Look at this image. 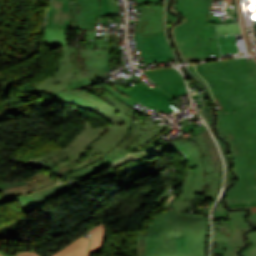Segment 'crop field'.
<instances>
[{"label":"crop field","instance_id":"crop-field-1","mask_svg":"<svg viewBox=\"0 0 256 256\" xmlns=\"http://www.w3.org/2000/svg\"><path fill=\"white\" fill-rule=\"evenodd\" d=\"M202 70L221 108L217 130L230 142L239 175L227 191V203H256V65L242 58L205 63Z\"/></svg>","mask_w":256,"mask_h":256},{"label":"crop field","instance_id":"crop-field-2","mask_svg":"<svg viewBox=\"0 0 256 256\" xmlns=\"http://www.w3.org/2000/svg\"><path fill=\"white\" fill-rule=\"evenodd\" d=\"M49 93L81 109H90L115 124L104 128H91L89 122L84 120L86 129L67 148L32 160L54 173L57 168H62L56 174H60L59 177L103 157L119 144L132 125L135 111L113 96L108 99L113 102L114 108L81 90Z\"/></svg>","mask_w":256,"mask_h":256},{"label":"crop field","instance_id":"crop-field-3","mask_svg":"<svg viewBox=\"0 0 256 256\" xmlns=\"http://www.w3.org/2000/svg\"><path fill=\"white\" fill-rule=\"evenodd\" d=\"M207 235V217L166 211L150 225L146 256H205Z\"/></svg>","mask_w":256,"mask_h":256},{"label":"crop field","instance_id":"crop-field-4","mask_svg":"<svg viewBox=\"0 0 256 256\" xmlns=\"http://www.w3.org/2000/svg\"><path fill=\"white\" fill-rule=\"evenodd\" d=\"M210 8L211 0H176L174 9L188 20L174 28L175 40L184 57L220 56L213 26L214 13H209Z\"/></svg>","mask_w":256,"mask_h":256},{"label":"crop field","instance_id":"crop-field-5","mask_svg":"<svg viewBox=\"0 0 256 256\" xmlns=\"http://www.w3.org/2000/svg\"><path fill=\"white\" fill-rule=\"evenodd\" d=\"M160 148L182 150L189 164L182 191L171 206L173 210L179 211L182 205L189 207L194 195L201 194L205 184L211 185L208 195L217 196L222 173L214 172L211 154L201 134L192 140L183 137L168 140Z\"/></svg>","mask_w":256,"mask_h":256},{"label":"crop field","instance_id":"crop-field-6","mask_svg":"<svg viewBox=\"0 0 256 256\" xmlns=\"http://www.w3.org/2000/svg\"><path fill=\"white\" fill-rule=\"evenodd\" d=\"M105 40H96V49L70 47L71 72L76 73L66 90L83 88L95 83V78L109 75L110 50H104Z\"/></svg>","mask_w":256,"mask_h":256},{"label":"crop field","instance_id":"crop-field-7","mask_svg":"<svg viewBox=\"0 0 256 256\" xmlns=\"http://www.w3.org/2000/svg\"><path fill=\"white\" fill-rule=\"evenodd\" d=\"M164 128L165 126L155 124L154 120H152L151 117L137 120V122L133 121L131 129L129 130L125 138L121 141V143L118 145V150L113 149L106 156L101 158L104 160V162L95 161L89 164V166H91L90 168H81L80 170H84V172L82 173L84 174L83 176H78L77 178L67 176V179L70 181L74 179L85 178L90 174L110 165L111 163L117 161L120 157L126 155L123 152L129 146L136 148L143 145L144 143L159 135L164 130Z\"/></svg>","mask_w":256,"mask_h":256},{"label":"crop field","instance_id":"crop-field-8","mask_svg":"<svg viewBox=\"0 0 256 256\" xmlns=\"http://www.w3.org/2000/svg\"><path fill=\"white\" fill-rule=\"evenodd\" d=\"M127 90L151 106L158 107L166 113L169 111L174 112V109L169 106L171 104L166 99L188 94L185 83L182 81L153 88L139 83Z\"/></svg>","mask_w":256,"mask_h":256},{"label":"crop field","instance_id":"crop-field-9","mask_svg":"<svg viewBox=\"0 0 256 256\" xmlns=\"http://www.w3.org/2000/svg\"><path fill=\"white\" fill-rule=\"evenodd\" d=\"M245 213L246 211L227 212L220 204L214 214V217H232V234L217 233L216 237L217 241L229 242V248L225 256H238L235 250L244 245L241 232L251 228L247 226L244 220Z\"/></svg>","mask_w":256,"mask_h":256},{"label":"crop field","instance_id":"crop-field-10","mask_svg":"<svg viewBox=\"0 0 256 256\" xmlns=\"http://www.w3.org/2000/svg\"><path fill=\"white\" fill-rule=\"evenodd\" d=\"M137 50H140L148 63L175 58L165 36L142 39L136 36Z\"/></svg>","mask_w":256,"mask_h":256},{"label":"crop field","instance_id":"crop-field-11","mask_svg":"<svg viewBox=\"0 0 256 256\" xmlns=\"http://www.w3.org/2000/svg\"><path fill=\"white\" fill-rule=\"evenodd\" d=\"M73 29H95V16H100L98 0H70Z\"/></svg>","mask_w":256,"mask_h":256},{"label":"crop field","instance_id":"crop-field-12","mask_svg":"<svg viewBox=\"0 0 256 256\" xmlns=\"http://www.w3.org/2000/svg\"><path fill=\"white\" fill-rule=\"evenodd\" d=\"M72 189L69 183H63L59 184L50 188H46L43 190H40L36 193H32L33 195H24V196H18V197H12L9 199H6V203L15 201L19 204V206L24 211V214H28L30 211H32L34 208H36L38 205L56 197L62 192L68 191Z\"/></svg>","mask_w":256,"mask_h":256},{"label":"crop field","instance_id":"crop-field-13","mask_svg":"<svg viewBox=\"0 0 256 256\" xmlns=\"http://www.w3.org/2000/svg\"><path fill=\"white\" fill-rule=\"evenodd\" d=\"M64 55L59 58L61 64L54 78L48 77L42 84L38 85L36 91H59L64 90L73 78L74 74L70 73V52L69 47L61 48Z\"/></svg>","mask_w":256,"mask_h":256},{"label":"crop field","instance_id":"crop-field-14","mask_svg":"<svg viewBox=\"0 0 256 256\" xmlns=\"http://www.w3.org/2000/svg\"><path fill=\"white\" fill-rule=\"evenodd\" d=\"M140 20L136 34L164 31L163 6L139 7Z\"/></svg>","mask_w":256,"mask_h":256},{"label":"crop field","instance_id":"crop-field-15","mask_svg":"<svg viewBox=\"0 0 256 256\" xmlns=\"http://www.w3.org/2000/svg\"><path fill=\"white\" fill-rule=\"evenodd\" d=\"M42 172L43 170H39V172L36 175L26 179L25 181L27 185L7 189L6 190L7 192H4L5 190H3L2 191L3 194L12 195V194L25 193V192L34 191V190L52 185L50 183L52 182V179L49 173L43 175L44 173L42 174Z\"/></svg>","mask_w":256,"mask_h":256},{"label":"crop field","instance_id":"crop-field-16","mask_svg":"<svg viewBox=\"0 0 256 256\" xmlns=\"http://www.w3.org/2000/svg\"><path fill=\"white\" fill-rule=\"evenodd\" d=\"M89 238H80L63 248L52 256H91L86 249L88 246ZM16 256H39L35 251L30 253L17 254Z\"/></svg>","mask_w":256,"mask_h":256},{"label":"crop field","instance_id":"crop-field-17","mask_svg":"<svg viewBox=\"0 0 256 256\" xmlns=\"http://www.w3.org/2000/svg\"><path fill=\"white\" fill-rule=\"evenodd\" d=\"M156 85L183 80L174 68L144 72Z\"/></svg>","mask_w":256,"mask_h":256},{"label":"crop field","instance_id":"crop-field-18","mask_svg":"<svg viewBox=\"0 0 256 256\" xmlns=\"http://www.w3.org/2000/svg\"><path fill=\"white\" fill-rule=\"evenodd\" d=\"M45 41L50 48L67 46L65 30H45Z\"/></svg>","mask_w":256,"mask_h":256},{"label":"crop field","instance_id":"crop-field-19","mask_svg":"<svg viewBox=\"0 0 256 256\" xmlns=\"http://www.w3.org/2000/svg\"><path fill=\"white\" fill-rule=\"evenodd\" d=\"M91 233V241L88 252L95 253L100 250L102 246V241L105 236V226L101 224L92 230L89 231ZM105 239V238H104Z\"/></svg>","mask_w":256,"mask_h":256},{"label":"crop field","instance_id":"crop-field-20","mask_svg":"<svg viewBox=\"0 0 256 256\" xmlns=\"http://www.w3.org/2000/svg\"><path fill=\"white\" fill-rule=\"evenodd\" d=\"M103 89H105L106 91H108L110 94H112L114 97H116L117 99H119L120 101H122L124 104H126L127 106H132L138 102L130 99L129 97L121 94L120 92L116 91L115 89H113L111 86L104 84L101 86Z\"/></svg>","mask_w":256,"mask_h":256},{"label":"crop field","instance_id":"crop-field-21","mask_svg":"<svg viewBox=\"0 0 256 256\" xmlns=\"http://www.w3.org/2000/svg\"><path fill=\"white\" fill-rule=\"evenodd\" d=\"M252 221L256 223V212L252 213ZM248 239L253 244V248L242 252L244 256H256V232L248 233Z\"/></svg>","mask_w":256,"mask_h":256},{"label":"crop field","instance_id":"crop-field-22","mask_svg":"<svg viewBox=\"0 0 256 256\" xmlns=\"http://www.w3.org/2000/svg\"><path fill=\"white\" fill-rule=\"evenodd\" d=\"M113 88L117 89L118 91H120L121 93L129 96L130 98L138 101L139 103L145 105L146 107L154 110L155 108L151 107L150 105H148L147 103L143 102L142 100H140L139 98L135 97L134 95H132L130 92H128L127 90L123 89L120 85H115Z\"/></svg>","mask_w":256,"mask_h":256},{"label":"crop field","instance_id":"crop-field-23","mask_svg":"<svg viewBox=\"0 0 256 256\" xmlns=\"http://www.w3.org/2000/svg\"><path fill=\"white\" fill-rule=\"evenodd\" d=\"M99 1H100L101 16L110 15L108 0H99Z\"/></svg>","mask_w":256,"mask_h":256},{"label":"crop field","instance_id":"crop-field-24","mask_svg":"<svg viewBox=\"0 0 256 256\" xmlns=\"http://www.w3.org/2000/svg\"><path fill=\"white\" fill-rule=\"evenodd\" d=\"M160 154H161V150L155 151L153 149L143 152V155L145 158L160 155Z\"/></svg>","mask_w":256,"mask_h":256},{"label":"crop field","instance_id":"crop-field-25","mask_svg":"<svg viewBox=\"0 0 256 256\" xmlns=\"http://www.w3.org/2000/svg\"><path fill=\"white\" fill-rule=\"evenodd\" d=\"M140 35H143V38H146V37L162 36V35H165V33L160 32V33H150V34H140Z\"/></svg>","mask_w":256,"mask_h":256},{"label":"crop field","instance_id":"crop-field-26","mask_svg":"<svg viewBox=\"0 0 256 256\" xmlns=\"http://www.w3.org/2000/svg\"><path fill=\"white\" fill-rule=\"evenodd\" d=\"M137 3H145V2H159L164 0H136Z\"/></svg>","mask_w":256,"mask_h":256},{"label":"crop field","instance_id":"crop-field-27","mask_svg":"<svg viewBox=\"0 0 256 256\" xmlns=\"http://www.w3.org/2000/svg\"><path fill=\"white\" fill-rule=\"evenodd\" d=\"M232 208L239 207V206H256V204H238V205H229Z\"/></svg>","mask_w":256,"mask_h":256},{"label":"crop field","instance_id":"crop-field-28","mask_svg":"<svg viewBox=\"0 0 256 256\" xmlns=\"http://www.w3.org/2000/svg\"><path fill=\"white\" fill-rule=\"evenodd\" d=\"M214 1V0H212ZM227 5H235V0H226Z\"/></svg>","mask_w":256,"mask_h":256},{"label":"crop field","instance_id":"crop-field-29","mask_svg":"<svg viewBox=\"0 0 256 256\" xmlns=\"http://www.w3.org/2000/svg\"><path fill=\"white\" fill-rule=\"evenodd\" d=\"M187 209H188L187 207H184V206H183L182 209H181V211H182V212H186Z\"/></svg>","mask_w":256,"mask_h":256},{"label":"crop field","instance_id":"crop-field-30","mask_svg":"<svg viewBox=\"0 0 256 256\" xmlns=\"http://www.w3.org/2000/svg\"><path fill=\"white\" fill-rule=\"evenodd\" d=\"M0 254H1V255H3V256H7V255H5V254H4V253H2V252H0Z\"/></svg>","mask_w":256,"mask_h":256},{"label":"crop field","instance_id":"crop-field-31","mask_svg":"<svg viewBox=\"0 0 256 256\" xmlns=\"http://www.w3.org/2000/svg\"><path fill=\"white\" fill-rule=\"evenodd\" d=\"M253 211H256V207H252Z\"/></svg>","mask_w":256,"mask_h":256},{"label":"crop field","instance_id":"crop-field-32","mask_svg":"<svg viewBox=\"0 0 256 256\" xmlns=\"http://www.w3.org/2000/svg\"><path fill=\"white\" fill-rule=\"evenodd\" d=\"M250 210H251V212H252V209H251V207H248Z\"/></svg>","mask_w":256,"mask_h":256},{"label":"crop field","instance_id":"crop-field-33","mask_svg":"<svg viewBox=\"0 0 256 256\" xmlns=\"http://www.w3.org/2000/svg\"><path fill=\"white\" fill-rule=\"evenodd\" d=\"M1 256V255H0Z\"/></svg>","mask_w":256,"mask_h":256}]
</instances>
